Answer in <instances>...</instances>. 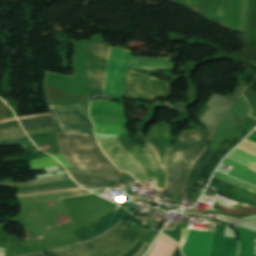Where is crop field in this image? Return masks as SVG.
I'll return each instance as SVG.
<instances>
[{"label":"crop field","mask_w":256,"mask_h":256,"mask_svg":"<svg viewBox=\"0 0 256 256\" xmlns=\"http://www.w3.org/2000/svg\"><path fill=\"white\" fill-rule=\"evenodd\" d=\"M54 117L58 137L94 136V126L89 118V104L49 106ZM61 154L74 166L116 171L113 164L99 150L93 137L58 138ZM66 169L73 179L86 188L125 184L117 172L87 169ZM85 188V189H86Z\"/></svg>","instance_id":"crop-field-1"},{"label":"crop field","mask_w":256,"mask_h":256,"mask_svg":"<svg viewBox=\"0 0 256 256\" xmlns=\"http://www.w3.org/2000/svg\"><path fill=\"white\" fill-rule=\"evenodd\" d=\"M99 144L117 166L131 172L141 182L156 179L157 189H165L166 172L148 143L143 149L136 145L127 151L117 138L100 141Z\"/></svg>","instance_id":"crop-field-2"},{"label":"crop field","mask_w":256,"mask_h":256,"mask_svg":"<svg viewBox=\"0 0 256 256\" xmlns=\"http://www.w3.org/2000/svg\"><path fill=\"white\" fill-rule=\"evenodd\" d=\"M208 143L204 141L195 148L173 154L168 182V189L173 196H181L190 167L204 152Z\"/></svg>","instance_id":"crop-field-3"},{"label":"crop field","mask_w":256,"mask_h":256,"mask_svg":"<svg viewBox=\"0 0 256 256\" xmlns=\"http://www.w3.org/2000/svg\"><path fill=\"white\" fill-rule=\"evenodd\" d=\"M87 59L88 94L103 90L107 60L111 45L89 41Z\"/></svg>","instance_id":"crop-field-4"},{"label":"crop field","mask_w":256,"mask_h":256,"mask_svg":"<svg viewBox=\"0 0 256 256\" xmlns=\"http://www.w3.org/2000/svg\"><path fill=\"white\" fill-rule=\"evenodd\" d=\"M131 53L132 51L112 47L107 79L104 86L105 94L124 96L127 66L131 58Z\"/></svg>","instance_id":"crop-field-5"},{"label":"crop field","mask_w":256,"mask_h":256,"mask_svg":"<svg viewBox=\"0 0 256 256\" xmlns=\"http://www.w3.org/2000/svg\"><path fill=\"white\" fill-rule=\"evenodd\" d=\"M169 94L166 82L129 71L127 97L155 100L158 97L168 98Z\"/></svg>","instance_id":"crop-field-6"},{"label":"crop field","mask_w":256,"mask_h":256,"mask_svg":"<svg viewBox=\"0 0 256 256\" xmlns=\"http://www.w3.org/2000/svg\"><path fill=\"white\" fill-rule=\"evenodd\" d=\"M245 88L246 83L242 81L234 95L222 97L215 94L214 97L209 101L207 106L210 108L200 118V121L207 127L209 131V134L206 138L207 141H210L216 128L219 126L231 108L235 105L240 94Z\"/></svg>","instance_id":"crop-field-7"},{"label":"crop field","mask_w":256,"mask_h":256,"mask_svg":"<svg viewBox=\"0 0 256 256\" xmlns=\"http://www.w3.org/2000/svg\"><path fill=\"white\" fill-rule=\"evenodd\" d=\"M128 228L129 226L120 222L116 227L93 240L76 244L67 248L51 251V253L57 256H89L116 241L121 235L125 233ZM89 245H93L92 250L83 249L84 246Z\"/></svg>","instance_id":"crop-field-8"},{"label":"crop field","mask_w":256,"mask_h":256,"mask_svg":"<svg viewBox=\"0 0 256 256\" xmlns=\"http://www.w3.org/2000/svg\"><path fill=\"white\" fill-rule=\"evenodd\" d=\"M147 139L155 149L162 167L168 172L172 152L173 127L159 122L150 129Z\"/></svg>","instance_id":"crop-field-9"},{"label":"crop field","mask_w":256,"mask_h":256,"mask_svg":"<svg viewBox=\"0 0 256 256\" xmlns=\"http://www.w3.org/2000/svg\"><path fill=\"white\" fill-rule=\"evenodd\" d=\"M249 131L244 130L235 126V128L231 131L228 137L224 139V141L220 144V146L215 150L213 156L210 161L206 165L205 169L200 175V178H204L209 180L211 175L213 174L217 164L224 157V155L231 150L239 141H241Z\"/></svg>","instance_id":"crop-field-10"},{"label":"crop field","mask_w":256,"mask_h":256,"mask_svg":"<svg viewBox=\"0 0 256 256\" xmlns=\"http://www.w3.org/2000/svg\"><path fill=\"white\" fill-rule=\"evenodd\" d=\"M214 234L190 230L188 239L182 249L184 256H210Z\"/></svg>","instance_id":"crop-field-11"},{"label":"crop field","mask_w":256,"mask_h":256,"mask_svg":"<svg viewBox=\"0 0 256 256\" xmlns=\"http://www.w3.org/2000/svg\"><path fill=\"white\" fill-rule=\"evenodd\" d=\"M130 215L127 211L124 209L113 212L103 219H101L99 222L88 226L84 229L74 231V233L77 235V233H81V235H77V237L80 240L85 239H91L95 236H98L102 234L103 232L107 231L108 229L115 226L122 218Z\"/></svg>","instance_id":"crop-field-12"},{"label":"crop field","mask_w":256,"mask_h":256,"mask_svg":"<svg viewBox=\"0 0 256 256\" xmlns=\"http://www.w3.org/2000/svg\"><path fill=\"white\" fill-rule=\"evenodd\" d=\"M119 108H120V117H121L123 135H130L128 126H127L125 105L119 104ZM91 119L94 122V124L121 126L119 119H112V118H91ZM101 125H95L96 126L95 133L122 135L121 127L101 126Z\"/></svg>","instance_id":"crop-field-13"},{"label":"crop field","mask_w":256,"mask_h":256,"mask_svg":"<svg viewBox=\"0 0 256 256\" xmlns=\"http://www.w3.org/2000/svg\"><path fill=\"white\" fill-rule=\"evenodd\" d=\"M224 226L216 225L211 256H237V239L223 237Z\"/></svg>","instance_id":"crop-field-14"},{"label":"crop field","mask_w":256,"mask_h":256,"mask_svg":"<svg viewBox=\"0 0 256 256\" xmlns=\"http://www.w3.org/2000/svg\"><path fill=\"white\" fill-rule=\"evenodd\" d=\"M189 126L194 130H185L178 138H176L174 152L197 145L204 139V129H202L196 122L190 124Z\"/></svg>","instance_id":"crop-field-15"},{"label":"crop field","mask_w":256,"mask_h":256,"mask_svg":"<svg viewBox=\"0 0 256 256\" xmlns=\"http://www.w3.org/2000/svg\"><path fill=\"white\" fill-rule=\"evenodd\" d=\"M128 67L141 68L144 70H168L173 68V63L172 59H148L132 57Z\"/></svg>","instance_id":"crop-field-16"},{"label":"crop field","mask_w":256,"mask_h":256,"mask_svg":"<svg viewBox=\"0 0 256 256\" xmlns=\"http://www.w3.org/2000/svg\"><path fill=\"white\" fill-rule=\"evenodd\" d=\"M218 145H219L218 143L212 142L210 147L205 151V153L196 162V164L194 165V167L190 173V177H189V180H188V183H187V186H186V189L184 192H186V193L192 192L200 173L202 172L203 168L207 164L208 160L210 159V157L212 156L214 150L218 147Z\"/></svg>","instance_id":"crop-field-17"},{"label":"crop field","mask_w":256,"mask_h":256,"mask_svg":"<svg viewBox=\"0 0 256 256\" xmlns=\"http://www.w3.org/2000/svg\"><path fill=\"white\" fill-rule=\"evenodd\" d=\"M241 233L240 238V248L238 256H255L254 252V242H255V235L256 232L238 228Z\"/></svg>","instance_id":"crop-field-18"},{"label":"crop field","mask_w":256,"mask_h":256,"mask_svg":"<svg viewBox=\"0 0 256 256\" xmlns=\"http://www.w3.org/2000/svg\"><path fill=\"white\" fill-rule=\"evenodd\" d=\"M171 240L162 234L161 237L158 239L154 249L153 250L151 249L152 250V251L150 250L151 253L149 252L150 254L148 253L149 255L148 254L147 255L148 256H171L177 246V244L174 243L175 241L173 242Z\"/></svg>","instance_id":"crop-field-19"},{"label":"crop field","mask_w":256,"mask_h":256,"mask_svg":"<svg viewBox=\"0 0 256 256\" xmlns=\"http://www.w3.org/2000/svg\"><path fill=\"white\" fill-rule=\"evenodd\" d=\"M223 162L234 166V168L228 173L229 175H232L241 180H244L246 182L256 185V172L255 171H253L249 168L243 167L234 162H231L227 159H225Z\"/></svg>","instance_id":"crop-field-20"},{"label":"crop field","mask_w":256,"mask_h":256,"mask_svg":"<svg viewBox=\"0 0 256 256\" xmlns=\"http://www.w3.org/2000/svg\"><path fill=\"white\" fill-rule=\"evenodd\" d=\"M131 242L132 240L123 236L113 245L105 248L104 250L100 251L99 253L93 256H115L118 253H120L123 249H125Z\"/></svg>","instance_id":"crop-field-21"},{"label":"crop field","mask_w":256,"mask_h":256,"mask_svg":"<svg viewBox=\"0 0 256 256\" xmlns=\"http://www.w3.org/2000/svg\"><path fill=\"white\" fill-rule=\"evenodd\" d=\"M20 123L24 126L25 130L54 126L52 116H44L35 119L23 120L20 121Z\"/></svg>","instance_id":"crop-field-22"},{"label":"crop field","mask_w":256,"mask_h":256,"mask_svg":"<svg viewBox=\"0 0 256 256\" xmlns=\"http://www.w3.org/2000/svg\"><path fill=\"white\" fill-rule=\"evenodd\" d=\"M25 136L26 134L21 128V126L0 130V141L13 140V139H17Z\"/></svg>","instance_id":"crop-field-23"},{"label":"crop field","mask_w":256,"mask_h":256,"mask_svg":"<svg viewBox=\"0 0 256 256\" xmlns=\"http://www.w3.org/2000/svg\"><path fill=\"white\" fill-rule=\"evenodd\" d=\"M215 177L220 178V179H222V180H224V181H226V182H228L230 184L242 187V188H244V189H246V190H248L250 192L256 193V187H253V186L248 185V184H246L244 182H241V181H238L236 179H233V178H231V177H229V176H227V175H225V174H223L221 172H216Z\"/></svg>","instance_id":"crop-field-24"},{"label":"crop field","mask_w":256,"mask_h":256,"mask_svg":"<svg viewBox=\"0 0 256 256\" xmlns=\"http://www.w3.org/2000/svg\"><path fill=\"white\" fill-rule=\"evenodd\" d=\"M210 185L213 186V187L218 188V191H220V192H222V193H224V194H226V195H228V196H230V197H232V198H234V199H237V200H240V201H242V202H245V203L252 204V205H255V206H256V201L253 200V199H250V198L244 197V196H242V195L236 194V193H234V192H232V191H229V190H227V189H224V188H222V187H220V186H218V185L212 184V183H211ZM222 193H221V194H222ZM224 194H223V195H224ZM226 195H225V196H226Z\"/></svg>","instance_id":"crop-field-25"},{"label":"crop field","mask_w":256,"mask_h":256,"mask_svg":"<svg viewBox=\"0 0 256 256\" xmlns=\"http://www.w3.org/2000/svg\"><path fill=\"white\" fill-rule=\"evenodd\" d=\"M212 181L217 183V184H219V185H221V186H223V187H225V188H228V189H230V190H232L234 192H237V193H240L242 195L248 196L250 198L256 199V194H253V193L244 191L242 189H239V188H237L235 186H232V185H230V184H228V183H226V182H224V181H222L220 179H217V178L214 177Z\"/></svg>","instance_id":"crop-field-26"},{"label":"crop field","mask_w":256,"mask_h":256,"mask_svg":"<svg viewBox=\"0 0 256 256\" xmlns=\"http://www.w3.org/2000/svg\"><path fill=\"white\" fill-rule=\"evenodd\" d=\"M69 179H70L69 175H64V176H57V177L41 179V180H37V181H31L28 183L30 186H34V185H38V184L49 183V182L58 181V180H69Z\"/></svg>","instance_id":"crop-field-27"},{"label":"crop field","mask_w":256,"mask_h":256,"mask_svg":"<svg viewBox=\"0 0 256 256\" xmlns=\"http://www.w3.org/2000/svg\"><path fill=\"white\" fill-rule=\"evenodd\" d=\"M80 190H85V189H82V188L67 189V190H61V191L35 193V194H30V195H17V197L41 196V195L57 194V193L72 192V191H80Z\"/></svg>","instance_id":"crop-field-28"},{"label":"crop field","mask_w":256,"mask_h":256,"mask_svg":"<svg viewBox=\"0 0 256 256\" xmlns=\"http://www.w3.org/2000/svg\"><path fill=\"white\" fill-rule=\"evenodd\" d=\"M239 148L256 155V144H253L247 140L241 146H239Z\"/></svg>","instance_id":"crop-field-29"},{"label":"crop field","mask_w":256,"mask_h":256,"mask_svg":"<svg viewBox=\"0 0 256 256\" xmlns=\"http://www.w3.org/2000/svg\"><path fill=\"white\" fill-rule=\"evenodd\" d=\"M228 6H229V0H223L222 6H221L216 18L222 20L223 16L225 15V13L228 9Z\"/></svg>","instance_id":"crop-field-30"},{"label":"crop field","mask_w":256,"mask_h":256,"mask_svg":"<svg viewBox=\"0 0 256 256\" xmlns=\"http://www.w3.org/2000/svg\"><path fill=\"white\" fill-rule=\"evenodd\" d=\"M79 187L78 185H72V186H63V187H55V188H47V189H41V190H35L30 192H18V194H28V193H34V192H43V191H51L55 189H64V188H76Z\"/></svg>","instance_id":"crop-field-31"},{"label":"crop field","mask_w":256,"mask_h":256,"mask_svg":"<svg viewBox=\"0 0 256 256\" xmlns=\"http://www.w3.org/2000/svg\"><path fill=\"white\" fill-rule=\"evenodd\" d=\"M26 142H30L28 137L17 139V140H13V141H9V142H1V144H2V146H7V145L26 143ZM1 144H0V146H1Z\"/></svg>","instance_id":"crop-field-32"},{"label":"crop field","mask_w":256,"mask_h":256,"mask_svg":"<svg viewBox=\"0 0 256 256\" xmlns=\"http://www.w3.org/2000/svg\"><path fill=\"white\" fill-rule=\"evenodd\" d=\"M56 135V131L54 132H49V133H43V134H37V135H31V139L35 140V139H39V138H46V137H51V136H55Z\"/></svg>","instance_id":"crop-field-33"},{"label":"crop field","mask_w":256,"mask_h":256,"mask_svg":"<svg viewBox=\"0 0 256 256\" xmlns=\"http://www.w3.org/2000/svg\"><path fill=\"white\" fill-rule=\"evenodd\" d=\"M55 128H42V129H34V130H28V135L36 134V133H42V132H48V131H54Z\"/></svg>","instance_id":"crop-field-34"},{"label":"crop field","mask_w":256,"mask_h":256,"mask_svg":"<svg viewBox=\"0 0 256 256\" xmlns=\"http://www.w3.org/2000/svg\"><path fill=\"white\" fill-rule=\"evenodd\" d=\"M18 125H20L19 121L4 123V124H0V129L14 127V126H18Z\"/></svg>","instance_id":"crop-field-35"},{"label":"crop field","mask_w":256,"mask_h":256,"mask_svg":"<svg viewBox=\"0 0 256 256\" xmlns=\"http://www.w3.org/2000/svg\"><path fill=\"white\" fill-rule=\"evenodd\" d=\"M43 115H51V113H43V114H37V115H30V116L20 117L18 119L19 120H21V119H29V118H32V117L43 116Z\"/></svg>","instance_id":"crop-field-36"},{"label":"crop field","mask_w":256,"mask_h":256,"mask_svg":"<svg viewBox=\"0 0 256 256\" xmlns=\"http://www.w3.org/2000/svg\"><path fill=\"white\" fill-rule=\"evenodd\" d=\"M44 156H48V154L42 152V153H39V154H37V155L29 156V157H30V159L32 160V159H36V158H40V157H44Z\"/></svg>","instance_id":"crop-field-37"},{"label":"crop field","mask_w":256,"mask_h":256,"mask_svg":"<svg viewBox=\"0 0 256 256\" xmlns=\"http://www.w3.org/2000/svg\"><path fill=\"white\" fill-rule=\"evenodd\" d=\"M248 140L256 143V131L253 132V134L248 138Z\"/></svg>","instance_id":"crop-field-38"},{"label":"crop field","mask_w":256,"mask_h":256,"mask_svg":"<svg viewBox=\"0 0 256 256\" xmlns=\"http://www.w3.org/2000/svg\"><path fill=\"white\" fill-rule=\"evenodd\" d=\"M173 256H182L181 253H180V250H179V247L177 246Z\"/></svg>","instance_id":"crop-field-39"},{"label":"crop field","mask_w":256,"mask_h":256,"mask_svg":"<svg viewBox=\"0 0 256 256\" xmlns=\"http://www.w3.org/2000/svg\"><path fill=\"white\" fill-rule=\"evenodd\" d=\"M47 153L54 155V154H58L60 152H59V149H56V150H52V151H47Z\"/></svg>","instance_id":"crop-field-40"},{"label":"crop field","mask_w":256,"mask_h":256,"mask_svg":"<svg viewBox=\"0 0 256 256\" xmlns=\"http://www.w3.org/2000/svg\"><path fill=\"white\" fill-rule=\"evenodd\" d=\"M14 120H17L16 118L14 119H9V120H5V121H1L0 123H4V122H8V121H14Z\"/></svg>","instance_id":"crop-field-41"},{"label":"crop field","mask_w":256,"mask_h":256,"mask_svg":"<svg viewBox=\"0 0 256 256\" xmlns=\"http://www.w3.org/2000/svg\"><path fill=\"white\" fill-rule=\"evenodd\" d=\"M29 256H44L43 253H39V254H34V255H29Z\"/></svg>","instance_id":"crop-field-42"},{"label":"crop field","mask_w":256,"mask_h":256,"mask_svg":"<svg viewBox=\"0 0 256 256\" xmlns=\"http://www.w3.org/2000/svg\"><path fill=\"white\" fill-rule=\"evenodd\" d=\"M4 250H5V249H3V248H0V252H4Z\"/></svg>","instance_id":"crop-field-43"}]
</instances>
